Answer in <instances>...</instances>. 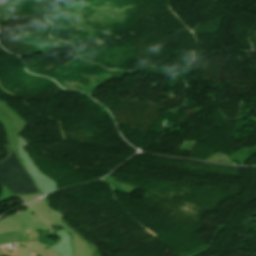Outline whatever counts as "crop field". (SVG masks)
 Here are the masks:
<instances>
[{
    "mask_svg": "<svg viewBox=\"0 0 256 256\" xmlns=\"http://www.w3.org/2000/svg\"><path fill=\"white\" fill-rule=\"evenodd\" d=\"M1 193H2V185L0 184V196H1Z\"/></svg>",
    "mask_w": 256,
    "mask_h": 256,
    "instance_id": "34b2d1b8",
    "label": "crop field"
},
{
    "mask_svg": "<svg viewBox=\"0 0 256 256\" xmlns=\"http://www.w3.org/2000/svg\"><path fill=\"white\" fill-rule=\"evenodd\" d=\"M31 243H37L36 233L21 234L19 244H31Z\"/></svg>",
    "mask_w": 256,
    "mask_h": 256,
    "instance_id": "ac0d7876",
    "label": "crop field"
},
{
    "mask_svg": "<svg viewBox=\"0 0 256 256\" xmlns=\"http://www.w3.org/2000/svg\"><path fill=\"white\" fill-rule=\"evenodd\" d=\"M0 182L13 194L26 195L39 193L31 178L20 164L15 151L0 162Z\"/></svg>",
    "mask_w": 256,
    "mask_h": 256,
    "instance_id": "8a807250",
    "label": "crop field"
}]
</instances>
